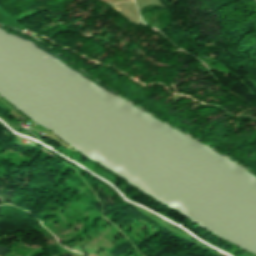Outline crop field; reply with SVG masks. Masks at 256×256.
<instances>
[{
    "instance_id": "1",
    "label": "crop field",
    "mask_w": 256,
    "mask_h": 256,
    "mask_svg": "<svg viewBox=\"0 0 256 256\" xmlns=\"http://www.w3.org/2000/svg\"><path fill=\"white\" fill-rule=\"evenodd\" d=\"M8 248H4L0 246V256H5V253L7 252Z\"/></svg>"
}]
</instances>
